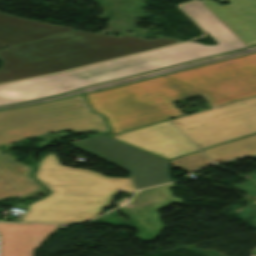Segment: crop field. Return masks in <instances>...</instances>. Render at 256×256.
<instances>
[{"label": "crop field", "instance_id": "crop-field-1", "mask_svg": "<svg viewBox=\"0 0 256 256\" xmlns=\"http://www.w3.org/2000/svg\"><path fill=\"white\" fill-rule=\"evenodd\" d=\"M200 95L212 107L256 95V54L221 61L97 93L93 110L121 132L184 116L171 102Z\"/></svg>", "mask_w": 256, "mask_h": 256}, {"label": "crop field", "instance_id": "crop-field-2", "mask_svg": "<svg viewBox=\"0 0 256 256\" xmlns=\"http://www.w3.org/2000/svg\"><path fill=\"white\" fill-rule=\"evenodd\" d=\"M181 8L218 44L204 46L187 42L68 72L3 84L0 85V105L55 95L246 47L199 0Z\"/></svg>", "mask_w": 256, "mask_h": 256}, {"label": "crop field", "instance_id": "crop-field-3", "mask_svg": "<svg viewBox=\"0 0 256 256\" xmlns=\"http://www.w3.org/2000/svg\"><path fill=\"white\" fill-rule=\"evenodd\" d=\"M181 41L75 31L0 50V84L55 73Z\"/></svg>", "mask_w": 256, "mask_h": 256}, {"label": "crop field", "instance_id": "crop-field-4", "mask_svg": "<svg viewBox=\"0 0 256 256\" xmlns=\"http://www.w3.org/2000/svg\"><path fill=\"white\" fill-rule=\"evenodd\" d=\"M70 130L76 134L109 131L101 115L89 110L83 96L0 111V144L46 133ZM31 166L0 152V198L23 196L41 185L30 176Z\"/></svg>", "mask_w": 256, "mask_h": 256}, {"label": "crop field", "instance_id": "crop-field-5", "mask_svg": "<svg viewBox=\"0 0 256 256\" xmlns=\"http://www.w3.org/2000/svg\"><path fill=\"white\" fill-rule=\"evenodd\" d=\"M35 176L52 194L30 204L24 222H84L108 208L117 192H135L129 178L67 168L59 164L54 153L40 161Z\"/></svg>", "mask_w": 256, "mask_h": 256}, {"label": "crop field", "instance_id": "crop-field-6", "mask_svg": "<svg viewBox=\"0 0 256 256\" xmlns=\"http://www.w3.org/2000/svg\"><path fill=\"white\" fill-rule=\"evenodd\" d=\"M200 149L256 133V97L171 121Z\"/></svg>", "mask_w": 256, "mask_h": 256}, {"label": "crop field", "instance_id": "crop-field-7", "mask_svg": "<svg viewBox=\"0 0 256 256\" xmlns=\"http://www.w3.org/2000/svg\"><path fill=\"white\" fill-rule=\"evenodd\" d=\"M71 145L130 171L137 189L171 182L168 161L100 136Z\"/></svg>", "mask_w": 256, "mask_h": 256}, {"label": "crop field", "instance_id": "crop-field-8", "mask_svg": "<svg viewBox=\"0 0 256 256\" xmlns=\"http://www.w3.org/2000/svg\"><path fill=\"white\" fill-rule=\"evenodd\" d=\"M175 185V183H171L142 190L136 194L132 203L120 207L129 217L130 223L139 232L135 237L144 241L155 240L165 228L156 210L171 203L184 205L181 199L171 196L169 188H173ZM128 205L131 207H127Z\"/></svg>", "mask_w": 256, "mask_h": 256}, {"label": "crop field", "instance_id": "crop-field-9", "mask_svg": "<svg viewBox=\"0 0 256 256\" xmlns=\"http://www.w3.org/2000/svg\"><path fill=\"white\" fill-rule=\"evenodd\" d=\"M112 137L167 159L197 151L167 121Z\"/></svg>", "mask_w": 256, "mask_h": 256}, {"label": "crop field", "instance_id": "crop-field-10", "mask_svg": "<svg viewBox=\"0 0 256 256\" xmlns=\"http://www.w3.org/2000/svg\"><path fill=\"white\" fill-rule=\"evenodd\" d=\"M219 6L214 0L201 2L247 47L256 45V0H227Z\"/></svg>", "mask_w": 256, "mask_h": 256}, {"label": "crop field", "instance_id": "crop-field-11", "mask_svg": "<svg viewBox=\"0 0 256 256\" xmlns=\"http://www.w3.org/2000/svg\"><path fill=\"white\" fill-rule=\"evenodd\" d=\"M56 229L55 225L0 223L1 256H34Z\"/></svg>", "mask_w": 256, "mask_h": 256}, {"label": "crop field", "instance_id": "crop-field-12", "mask_svg": "<svg viewBox=\"0 0 256 256\" xmlns=\"http://www.w3.org/2000/svg\"><path fill=\"white\" fill-rule=\"evenodd\" d=\"M70 31L74 30L0 12V49Z\"/></svg>", "mask_w": 256, "mask_h": 256}, {"label": "crop field", "instance_id": "crop-field-13", "mask_svg": "<svg viewBox=\"0 0 256 256\" xmlns=\"http://www.w3.org/2000/svg\"><path fill=\"white\" fill-rule=\"evenodd\" d=\"M203 153L213 162L256 154V135L218 146Z\"/></svg>", "mask_w": 256, "mask_h": 256}, {"label": "crop field", "instance_id": "crop-field-14", "mask_svg": "<svg viewBox=\"0 0 256 256\" xmlns=\"http://www.w3.org/2000/svg\"><path fill=\"white\" fill-rule=\"evenodd\" d=\"M233 186L242 187L240 190L246 191L247 194L249 195L243 199L251 198L247 201L251 203V204L249 203L251 206H254L256 208V185L255 184H253L250 181H247V182H244L242 185L236 184ZM231 209L233 211L228 214L229 216L237 220H240L242 222L251 223L256 227V210L255 209L249 208V207L240 208L236 206L231 207Z\"/></svg>", "mask_w": 256, "mask_h": 256}, {"label": "crop field", "instance_id": "crop-field-15", "mask_svg": "<svg viewBox=\"0 0 256 256\" xmlns=\"http://www.w3.org/2000/svg\"><path fill=\"white\" fill-rule=\"evenodd\" d=\"M210 164L208 159L200 152L190 154L171 161V167L181 168L187 173L192 172L194 169L201 166Z\"/></svg>", "mask_w": 256, "mask_h": 256}, {"label": "crop field", "instance_id": "crop-field-16", "mask_svg": "<svg viewBox=\"0 0 256 256\" xmlns=\"http://www.w3.org/2000/svg\"><path fill=\"white\" fill-rule=\"evenodd\" d=\"M255 173H256V171L253 173V175H245V177L256 182V174Z\"/></svg>", "mask_w": 256, "mask_h": 256}, {"label": "crop field", "instance_id": "crop-field-17", "mask_svg": "<svg viewBox=\"0 0 256 256\" xmlns=\"http://www.w3.org/2000/svg\"><path fill=\"white\" fill-rule=\"evenodd\" d=\"M251 256H255V255L253 254V255H251Z\"/></svg>", "mask_w": 256, "mask_h": 256}]
</instances>
